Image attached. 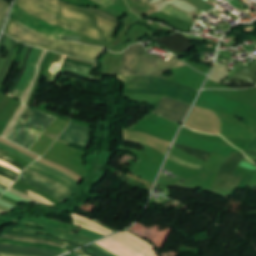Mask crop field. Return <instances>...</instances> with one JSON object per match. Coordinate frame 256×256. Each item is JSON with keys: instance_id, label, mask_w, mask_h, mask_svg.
I'll list each match as a JSON object with an SVG mask.
<instances>
[{"instance_id": "obj_30", "label": "crop field", "mask_w": 256, "mask_h": 256, "mask_svg": "<svg viewBox=\"0 0 256 256\" xmlns=\"http://www.w3.org/2000/svg\"><path fill=\"white\" fill-rule=\"evenodd\" d=\"M81 250L87 251V252L93 254L94 256H109L105 252H103V251H101V250H99V249H97V248H95L91 245H89V246H87V247H85Z\"/></svg>"}, {"instance_id": "obj_42", "label": "crop field", "mask_w": 256, "mask_h": 256, "mask_svg": "<svg viewBox=\"0 0 256 256\" xmlns=\"http://www.w3.org/2000/svg\"><path fill=\"white\" fill-rule=\"evenodd\" d=\"M5 37H6V35L3 34L2 37H1V40H0V55H1L2 46H3V43H4Z\"/></svg>"}, {"instance_id": "obj_24", "label": "crop field", "mask_w": 256, "mask_h": 256, "mask_svg": "<svg viewBox=\"0 0 256 256\" xmlns=\"http://www.w3.org/2000/svg\"><path fill=\"white\" fill-rule=\"evenodd\" d=\"M19 180H21V181H23V182H25V183H27V184L36 186V187H38V188L44 190L45 192L49 193L50 195H52L53 197H55L57 200H59L61 203H62L63 201H65V199H63L61 196H59L58 194H56L55 192H53L52 190H50V189H48V188H46V187H43V186H41V185H39V184H37V183H35V182H31V181H29V180H27V179H25V178H23V177H20Z\"/></svg>"}, {"instance_id": "obj_5", "label": "crop field", "mask_w": 256, "mask_h": 256, "mask_svg": "<svg viewBox=\"0 0 256 256\" xmlns=\"http://www.w3.org/2000/svg\"><path fill=\"white\" fill-rule=\"evenodd\" d=\"M32 111L33 108L28 107L17 124L24 126ZM55 119L56 117L43 114L34 109L25 126L17 125L11 132L8 141L29 150Z\"/></svg>"}, {"instance_id": "obj_48", "label": "crop field", "mask_w": 256, "mask_h": 256, "mask_svg": "<svg viewBox=\"0 0 256 256\" xmlns=\"http://www.w3.org/2000/svg\"><path fill=\"white\" fill-rule=\"evenodd\" d=\"M0 187L3 188V189H5V190L8 188V186H6V185H4V184H2V183H0Z\"/></svg>"}, {"instance_id": "obj_21", "label": "crop field", "mask_w": 256, "mask_h": 256, "mask_svg": "<svg viewBox=\"0 0 256 256\" xmlns=\"http://www.w3.org/2000/svg\"><path fill=\"white\" fill-rule=\"evenodd\" d=\"M2 238H8V239H14V240H20V241H28V242H39V243H47V244H51V245H55V246H59V247H66L67 245L58 243V242H52V241H42V240H35V239H28V238H21V237H14V236H8V235H3L1 234Z\"/></svg>"}, {"instance_id": "obj_10", "label": "crop field", "mask_w": 256, "mask_h": 256, "mask_svg": "<svg viewBox=\"0 0 256 256\" xmlns=\"http://www.w3.org/2000/svg\"><path fill=\"white\" fill-rule=\"evenodd\" d=\"M89 128L70 123L68 129L64 132L60 140L72 142L77 145L86 147L89 141Z\"/></svg>"}, {"instance_id": "obj_37", "label": "crop field", "mask_w": 256, "mask_h": 256, "mask_svg": "<svg viewBox=\"0 0 256 256\" xmlns=\"http://www.w3.org/2000/svg\"><path fill=\"white\" fill-rule=\"evenodd\" d=\"M94 1L100 3V4L104 5V6L109 5V4H111L113 2L112 0H94Z\"/></svg>"}, {"instance_id": "obj_26", "label": "crop field", "mask_w": 256, "mask_h": 256, "mask_svg": "<svg viewBox=\"0 0 256 256\" xmlns=\"http://www.w3.org/2000/svg\"><path fill=\"white\" fill-rule=\"evenodd\" d=\"M72 4L79 5V6H93V7H103L91 0H65Z\"/></svg>"}, {"instance_id": "obj_35", "label": "crop field", "mask_w": 256, "mask_h": 256, "mask_svg": "<svg viewBox=\"0 0 256 256\" xmlns=\"http://www.w3.org/2000/svg\"><path fill=\"white\" fill-rule=\"evenodd\" d=\"M99 10L105 11V12L111 14V15H114V16L118 17V18L122 16V15H120V14H118V13H116V12H114V11L108 9V8H102V9H99Z\"/></svg>"}, {"instance_id": "obj_16", "label": "crop field", "mask_w": 256, "mask_h": 256, "mask_svg": "<svg viewBox=\"0 0 256 256\" xmlns=\"http://www.w3.org/2000/svg\"><path fill=\"white\" fill-rule=\"evenodd\" d=\"M177 148L201 159V160H205L207 161L208 157L210 156V153H206V152H203V151H200V150H196V149H193V148H189V147H185V146H181V145H175Z\"/></svg>"}, {"instance_id": "obj_50", "label": "crop field", "mask_w": 256, "mask_h": 256, "mask_svg": "<svg viewBox=\"0 0 256 256\" xmlns=\"http://www.w3.org/2000/svg\"><path fill=\"white\" fill-rule=\"evenodd\" d=\"M139 1L148 4V2H149L150 0H139Z\"/></svg>"}, {"instance_id": "obj_34", "label": "crop field", "mask_w": 256, "mask_h": 256, "mask_svg": "<svg viewBox=\"0 0 256 256\" xmlns=\"http://www.w3.org/2000/svg\"><path fill=\"white\" fill-rule=\"evenodd\" d=\"M29 193H30L31 196H33V197H35V198H37V199H39V200H41V201H43L47 204L54 205L52 202L48 201L47 199H45L44 197H42V196H40L36 193L30 192V191H29Z\"/></svg>"}, {"instance_id": "obj_41", "label": "crop field", "mask_w": 256, "mask_h": 256, "mask_svg": "<svg viewBox=\"0 0 256 256\" xmlns=\"http://www.w3.org/2000/svg\"><path fill=\"white\" fill-rule=\"evenodd\" d=\"M0 181L7 184V185H11L13 182L7 178H3V177H0Z\"/></svg>"}, {"instance_id": "obj_9", "label": "crop field", "mask_w": 256, "mask_h": 256, "mask_svg": "<svg viewBox=\"0 0 256 256\" xmlns=\"http://www.w3.org/2000/svg\"><path fill=\"white\" fill-rule=\"evenodd\" d=\"M0 253H9L17 255H27V256H58L62 253L41 249V248H31V247H21L7 244H0Z\"/></svg>"}, {"instance_id": "obj_47", "label": "crop field", "mask_w": 256, "mask_h": 256, "mask_svg": "<svg viewBox=\"0 0 256 256\" xmlns=\"http://www.w3.org/2000/svg\"><path fill=\"white\" fill-rule=\"evenodd\" d=\"M0 154L7 157L9 153L0 150Z\"/></svg>"}, {"instance_id": "obj_23", "label": "crop field", "mask_w": 256, "mask_h": 256, "mask_svg": "<svg viewBox=\"0 0 256 256\" xmlns=\"http://www.w3.org/2000/svg\"><path fill=\"white\" fill-rule=\"evenodd\" d=\"M33 165H35V166H37V167H39V168H41L43 170H46V171L51 172V173H54V174L64 178L65 180H67L68 182L73 184L74 186H77V184H78V182L74 181L73 179L69 178L68 176H66V175H64V174H62V173H60V172H58V171H56V170L46 166V165L40 164L38 162L34 163Z\"/></svg>"}, {"instance_id": "obj_7", "label": "crop field", "mask_w": 256, "mask_h": 256, "mask_svg": "<svg viewBox=\"0 0 256 256\" xmlns=\"http://www.w3.org/2000/svg\"><path fill=\"white\" fill-rule=\"evenodd\" d=\"M244 157V155L232 153L222 165L211 189L233 197L241 181V178L233 175V173Z\"/></svg>"}, {"instance_id": "obj_40", "label": "crop field", "mask_w": 256, "mask_h": 256, "mask_svg": "<svg viewBox=\"0 0 256 256\" xmlns=\"http://www.w3.org/2000/svg\"><path fill=\"white\" fill-rule=\"evenodd\" d=\"M0 175L1 176H3V177H7V178H9V179H11V180H13V181H15L17 178H15V177H13V176H11V175H9V174H6V173H4V172H1L0 171Z\"/></svg>"}, {"instance_id": "obj_19", "label": "crop field", "mask_w": 256, "mask_h": 256, "mask_svg": "<svg viewBox=\"0 0 256 256\" xmlns=\"http://www.w3.org/2000/svg\"><path fill=\"white\" fill-rule=\"evenodd\" d=\"M28 168L33 169V170H35V171H38V172H40V173H42V174H44V175H46V176H48V177H50V178L56 180V181H58V182L64 184L65 186H67L68 188H70V189L73 190V191L76 189V187H74L73 185H71L70 183H68L67 181H65L64 179H62V178H60V177H58V176H56V175H54V174H51V173H48V172H46V171L40 170V169H38V168H36V167H34V166H32V165L29 166Z\"/></svg>"}, {"instance_id": "obj_45", "label": "crop field", "mask_w": 256, "mask_h": 256, "mask_svg": "<svg viewBox=\"0 0 256 256\" xmlns=\"http://www.w3.org/2000/svg\"><path fill=\"white\" fill-rule=\"evenodd\" d=\"M0 159H1V160H4V161H7V162H9V163L13 161V160H10V159H8V158H5V157H3V156H1V155H0Z\"/></svg>"}, {"instance_id": "obj_11", "label": "crop field", "mask_w": 256, "mask_h": 256, "mask_svg": "<svg viewBox=\"0 0 256 256\" xmlns=\"http://www.w3.org/2000/svg\"><path fill=\"white\" fill-rule=\"evenodd\" d=\"M7 229H12V230H15V231H20V232H30V233H38V234L57 236V237H61V238H64V239H67V240H70V241H73V242H76V243H79V244H83V245H86V244L90 243V242L82 240L80 238H74V237H70V236H67V235H64V234H61V233L44 231V230H39V229H34V228L25 227L23 229H16V228L8 227Z\"/></svg>"}, {"instance_id": "obj_4", "label": "crop field", "mask_w": 256, "mask_h": 256, "mask_svg": "<svg viewBox=\"0 0 256 256\" xmlns=\"http://www.w3.org/2000/svg\"><path fill=\"white\" fill-rule=\"evenodd\" d=\"M142 47L134 45L125 52L120 75H151L166 79L160 74L174 67L185 66L175 57L166 62L146 55Z\"/></svg>"}, {"instance_id": "obj_25", "label": "crop field", "mask_w": 256, "mask_h": 256, "mask_svg": "<svg viewBox=\"0 0 256 256\" xmlns=\"http://www.w3.org/2000/svg\"><path fill=\"white\" fill-rule=\"evenodd\" d=\"M83 9H86V8H83ZM86 10H88V11H90V12H92V13H94V14H96V15H98V16H100V17L118 25V19L111 16V15H108L104 12L97 11L95 9H86Z\"/></svg>"}, {"instance_id": "obj_28", "label": "crop field", "mask_w": 256, "mask_h": 256, "mask_svg": "<svg viewBox=\"0 0 256 256\" xmlns=\"http://www.w3.org/2000/svg\"><path fill=\"white\" fill-rule=\"evenodd\" d=\"M15 43H16V41L12 40V44H11V48H10V51H9V55H8L7 61H6L5 65H4L3 69H2V71H1V73H0V82H1V80H2V77H3V75H4V73H5L6 69H7V67H8V65H9L10 61H11V57H12V53H13V50H14ZM6 72H7V71H6ZM5 74H6V73H5ZM4 76H5V75H4ZM3 78H4V77H3Z\"/></svg>"}, {"instance_id": "obj_43", "label": "crop field", "mask_w": 256, "mask_h": 256, "mask_svg": "<svg viewBox=\"0 0 256 256\" xmlns=\"http://www.w3.org/2000/svg\"><path fill=\"white\" fill-rule=\"evenodd\" d=\"M249 148H250V149H253V150H256V137H255V139L251 142Z\"/></svg>"}, {"instance_id": "obj_20", "label": "crop field", "mask_w": 256, "mask_h": 256, "mask_svg": "<svg viewBox=\"0 0 256 256\" xmlns=\"http://www.w3.org/2000/svg\"><path fill=\"white\" fill-rule=\"evenodd\" d=\"M24 172H26V173H28V174H32V175H34V176H36V177H38V178H40V179H42V180H45V181H47V182H49V183H51V184L56 185L57 187H59L60 189H62L64 192H66V193L69 194V195H71V193L73 192V191H71L70 189H68L67 187H65V186H63V185H61V184H59V183H57V182H55V181H53V180H51V179L45 177V176H43V175H40V174H38V173H35V172H33V171L29 170V169H26Z\"/></svg>"}, {"instance_id": "obj_17", "label": "crop field", "mask_w": 256, "mask_h": 256, "mask_svg": "<svg viewBox=\"0 0 256 256\" xmlns=\"http://www.w3.org/2000/svg\"><path fill=\"white\" fill-rule=\"evenodd\" d=\"M24 222L30 223V224H37V225L45 226V227H48V228L59 229V230H64V231L69 232L68 227L52 224V223H49V222L39 221V220H36V219H31V218L26 217Z\"/></svg>"}, {"instance_id": "obj_49", "label": "crop field", "mask_w": 256, "mask_h": 256, "mask_svg": "<svg viewBox=\"0 0 256 256\" xmlns=\"http://www.w3.org/2000/svg\"><path fill=\"white\" fill-rule=\"evenodd\" d=\"M244 162H247V163H249V164L254 165V164H253L250 160H248L247 158H245Z\"/></svg>"}, {"instance_id": "obj_39", "label": "crop field", "mask_w": 256, "mask_h": 256, "mask_svg": "<svg viewBox=\"0 0 256 256\" xmlns=\"http://www.w3.org/2000/svg\"><path fill=\"white\" fill-rule=\"evenodd\" d=\"M64 61H66V62H70V63H75V64H79V65H83V66H87V67H91V68H93V66H91V65L83 64V63L76 62V61H73V60L65 59Z\"/></svg>"}, {"instance_id": "obj_22", "label": "crop field", "mask_w": 256, "mask_h": 256, "mask_svg": "<svg viewBox=\"0 0 256 256\" xmlns=\"http://www.w3.org/2000/svg\"><path fill=\"white\" fill-rule=\"evenodd\" d=\"M21 176H23V177H25V178H27V179H29V180H31V181L38 182V183H40V184H42V185H44V186H46V187L52 189L53 191H55L56 193H58L59 195L63 196V197L66 198V199H67V197H68V195H66V194H65L64 192H62L60 189H58L57 187H55V186H53V185H51V184H49V183H47V182H45V181H42V180H39V179H37V178L31 177V176H29V175H27V174H24V173H22Z\"/></svg>"}, {"instance_id": "obj_1", "label": "crop field", "mask_w": 256, "mask_h": 256, "mask_svg": "<svg viewBox=\"0 0 256 256\" xmlns=\"http://www.w3.org/2000/svg\"><path fill=\"white\" fill-rule=\"evenodd\" d=\"M41 7L65 16L67 18L80 21L92 28H95L105 34L112 36L115 32L117 25L107 22L85 10L69 6L59 0H32ZM31 0H17L16 3L21 7L25 8L37 18L46 21L51 24L66 27L74 32L85 35L95 41L109 42L110 36L102 34L80 22L67 19L65 17L53 14ZM15 5L11 17L12 19L19 21L28 27L42 33L53 40H60L64 35H79L72 31H69L63 27L55 26L43 22L37 19L35 16L30 14L20 6Z\"/></svg>"}, {"instance_id": "obj_8", "label": "crop field", "mask_w": 256, "mask_h": 256, "mask_svg": "<svg viewBox=\"0 0 256 256\" xmlns=\"http://www.w3.org/2000/svg\"><path fill=\"white\" fill-rule=\"evenodd\" d=\"M189 108L190 106L179 101L161 98L158 108L153 113L181 124Z\"/></svg>"}, {"instance_id": "obj_51", "label": "crop field", "mask_w": 256, "mask_h": 256, "mask_svg": "<svg viewBox=\"0 0 256 256\" xmlns=\"http://www.w3.org/2000/svg\"><path fill=\"white\" fill-rule=\"evenodd\" d=\"M2 256H17V255H6V254H2Z\"/></svg>"}, {"instance_id": "obj_3", "label": "crop field", "mask_w": 256, "mask_h": 256, "mask_svg": "<svg viewBox=\"0 0 256 256\" xmlns=\"http://www.w3.org/2000/svg\"><path fill=\"white\" fill-rule=\"evenodd\" d=\"M125 84L124 93H155L192 104L198 91L168 80L147 76H117Z\"/></svg>"}, {"instance_id": "obj_2", "label": "crop field", "mask_w": 256, "mask_h": 256, "mask_svg": "<svg viewBox=\"0 0 256 256\" xmlns=\"http://www.w3.org/2000/svg\"><path fill=\"white\" fill-rule=\"evenodd\" d=\"M4 32L13 36L16 40L22 43L45 48L63 54L88 59L91 61L97 60L102 50V48L100 47L86 46L72 42H53L42 37L33 30L11 20H8Z\"/></svg>"}, {"instance_id": "obj_15", "label": "crop field", "mask_w": 256, "mask_h": 256, "mask_svg": "<svg viewBox=\"0 0 256 256\" xmlns=\"http://www.w3.org/2000/svg\"><path fill=\"white\" fill-rule=\"evenodd\" d=\"M162 12L167 13V14H169V15H172V16H174V17H177V18H179V19H182V20L191 22V23L194 22L193 17H191V16H189V15H187V14L181 12L180 10H178V9H176V8L170 6V5L166 6V7L162 10Z\"/></svg>"}, {"instance_id": "obj_6", "label": "crop field", "mask_w": 256, "mask_h": 256, "mask_svg": "<svg viewBox=\"0 0 256 256\" xmlns=\"http://www.w3.org/2000/svg\"><path fill=\"white\" fill-rule=\"evenodd\" d=\"M117 256H156L154 246L124 231L96 243Z\"/></svg>"}, {"instance_id": "obj_44", "label": "crop field", "mask_w": 256, "mask_h": 256, "mask_svg": "<svg viewBox=\"0 0 256 256\" xmlns=\"http://www.w3.org/2000/svg\"><path fill=\"white\" fill-rule=\"evenodd\" d=\"M92 245H94V246L100 248L101 250L105 251L106 253H108V254L111 255V256H115V255H113L112 253L108 252L107 250H105L104 248H102V247H100V246H98V245H96V244H92Z\"/></svg>"}, {"instance_id": "obj_27", "label": "crop field", "mask_w": 256, "mask_h": 256, "mask_svg": "<svg viewBox=\"0 0 256 256\" xmlns=\"http://www.w3.org/2000/svg\"><path fill=\"white\" fill-rule=\"evenodd\" d=\"M9 6H10V4H8L6 1L0 0V28L3 24L4 18H5V15L7 13Z\"/></svg>"}, {"instance_id": "obj_32", "label": "crop field", "mask_w": 256, "mask_h": 256, "mask_svg": "<svg viewBox=\"0 0 256 256\" xmlns=\"http://www.w3.org/2000/svg\"><path fill=\"white\" fill-rule=\"evenodd\" d=\"M1 145H2V144H1ZM1 145H0V149H3V148H4L6 151L11 152V153H13V154H15V155L21 157L22 159L26 160V161L29 162L30 164H31L32 162H34V160H32V159L28 158L27 156H25V155L19 153L18 151L13 150V149H11V148H8V147H6V146H4V145H2V146H3V148H2ZM4 149H3V150H4Z\"/></svg>"}, {"instance_id": "obj_29", "label": "crop field", "mask_w": 256, "mask_h": 256, "mask_svg": "<svg viewBox=\"0 0 256 256\" xmlns=\"http://www.w3.org/2000/svg\"><path fill=\"white\" fill-rule=\"evenodd\" d=\"M169 159H171V160H173V161H175V162H177V163H179L183 166H187V167H191V168H195V169H199V170H202V168H203L202 166H197V165L187 163V162L181 160L180 158H178V157H176L172 154L170 155Z\"/></svg>"}, {"instance_id": "obj_18", "label": "crop field", "mask_w": 256, "mask_h": 256, "mask_svg": "<svg viewBox=\"0 0 256 256\" xmlns=\"http://www.w3.org/2000/svg\"><path fill=\"white\" fill-rule=\"evenodd\" d=\"M63 67L68 69L71 72L85 74V75H89V76L92 71L91 68L82 67V66H78V65H74V64H70V63H66V62L63 63Z\"/></svg>"}, {"instance_id": "obj_31", "label": "crop field", "mask_w": 256, "mask_h": 256, "mask_svg": "<svg viewBox=\"0 0 256 256\" xmlns=\"http://www.w3.org/2000/svg\"><path fill=\"white\" fill-rule=\"evenodd\" d=\"M31 50H32V47H30V46H29V48H28V52H27V55H26V57H25V60H24L23 66H22V68H21V72H20V74H19V76H18L17 80L15 81V83H14V85H13L12 89H11V91H10V93H9V96L11 95V93L13 92V90L15 89V87H16V85H17V83H18L19 79H20V77L22 76V74H23V72H24V70H25V67H26V61H27V59H28V56H29V54H30Z\"/></svg>"}, {"instance_id": "obj_12", "label": "crop field", "mask_w": 256, "mask_h": 256, "mask_svg": "<svg viewBox=\"0 0 256 256\" xmlns=\"http://www.w3.org/2000/svg\"><path fill=\"white\" fill-rule=\"evenodd\" d=\"M72 216L74 217L75 219V225H78V226H81V227H84L86 229H89V230H92V231H95V232H98V233H101L105 236L113 233L103 227H101L100 225L88 220V219H85L83 217H80V216H77V215H73Z\"/></svg>"}, {"instance_id": "obj_38", "label": "crop field", "mask_w": 256, "mask_h": 256, "mask_svg": "<svg viewBox=\"0 0 256 256\" xmlns=\"http://www.w3.org/2000/svg\"><path fill=\"white\" fill-rule=\"evenodd\" d=\"M0 170H2V171H4V172H7V173H9V174H11V175H14V176H16V177H17V175H18V174H16L15 172H13V171H11V170H9V169H6V168H4V167H2V166H0Z\"/></svg>"}, {"instance_id": "obj_13", "label": "crop field", "mask_w": 256, "mask_h": 256, "mask_svg": "<svg viewBox=\"0 0 256 256\" xmlns=\"http://www.w3.org/2000/svg\"><path fill=\"white\" fill-rule=\"evenodd\" d=\"M6 234L15 235V236H21V237H29V238L53 239V240H56L58 242H62V243H65V244H68V245H71V246H74V247L82 246V245H79V244H76V243H73V242H70V241H67V240L55 238V237H52V236H44V235H37V234H27V233H20V232H15V231H10V230H7Z\"/></svg>"}, {"instance_id": "obj_33", "label": "crop field", "mask_w": 256, "mask_h": 256, "mask_svg": "<svg viewBox=\"0 0 256 256\" xmlns=\"http://www.w3.org/2000/svg\"><path fill=\"white\" fill-rule=\"evenodd\" d=\"M79 235H83V236L92 238L94 240H97V239H100V238L104 237L102 235H98V234L92 233V232H90L88 230H84V229H81Z\"/></svg>"}, {"instance_id": "obj_46", "label": "crop field", "mask_w": 256, "mask_h": 256, "mask_svg": "<svg viewBox=\"0 0 256 256\" xmlns=\"http://www.w3.org/2000/svg\"><path fill=\"white\" fill-rule=\"evenodd\" d=\"M248 158H250V159H253V160H255L256 161V157L255 156H252V155H248V154H245Z\"/></svg>"}, {"instance_id": "obj_36", "label": "crop field", "mask_w": 256, "mask_h": 256, "mask_svg": "<svg viewBox=\"0 0 256 256\" xmlns=\"http://www.w3.org/2000/svg\"><path fill=\"white\" fill-rule=\"evenodd\" d=\"M241 167H244V168H247V169H250V170H253L255 171L256 170V167L255 166H252V165H249V164H246V163H241L240 165Z\"/></svg>"}, {"instance_id": "obj_14", "label": "crop field", "mask_w": 256, "mask_h": 256, "mask_svg": "<svg viewBox=\"0 0 256 256\" xmlns=\"http://www.w3.org/2000/svg\"><path fill=\"white\" fill-rule=\"evenodd\" d=\"M0 243H7V244H14V245H21V246L41 247V248H47V249L60 251L62 253H65L68 251V250L61 249L59 247L50 246V245H46V244L19 242V241H12V240H6V239H0Z\"/></svg>"}]
</instances>
